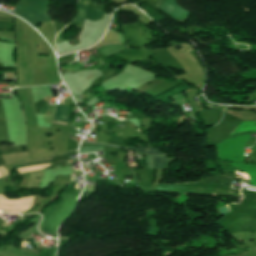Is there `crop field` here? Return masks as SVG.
<instances>
[{"label":"crop field","instance_id":"obj_1","mask_svg":"<svg viewBox=\"0 0 256 256\" xmlns=\"http://www.w3.org/2000/svg\"><path fill=\"white\" fill-rule=\"evenodd\" d=\"M48 3L49 0H19L17 6L47 13ZM18 7H16L14 13L21 16L36 29L38 28L36 25L50 20L49 16L45 13L31 11Z\"/></svg>","mask_w":256,"mask_h":256},{"label":"crop field","instance_id":"obj_2","mask_svg":"<svg viewBox=\"0 0 256 256\" xmlns=\"http://www.w3.org/2000/svg\"><path fill=\"white\" fill-rule=\"evenodd\" d=\"M249 135L233 139H225L222 143L217 144L219 158L244 162L243 144L247 142Z\"/></svg>","mask_w":256,"mask_h":256},{"label":"crop field","instance_id":"obj_3","mask_svg":"<svg viewBox=\"0 0 256 256\" xmlns=\"http://www.w3.org/2000/svg\"><path fill=\"white\" fill-rule=\"evenodd\" d=\"M175 2L176 0H159L156 8L166 13L169 17L183 22L187 19L189 12L183 10Z\"/></svg>","mask_w":256,"mask_h":256},{"label":"crop field","instance_id":"obj_4","mask_svg":"<svg viewBox=\"0 0 256 256\" xmlns=\"http://www.w3.org/2000/svg\"><path fill=\"white\" fill-rule=\"evenodd\" d=\"M89 1L90 0H79L77 17L69 24L76 26L75 29H82Z\"/></svg>","mask_w":256,"mask_h":256},{"label":"crop field","instance_id":"obj_5","mask_svg":"<svg viewBox=\"0 0 256 256\" xmlns=\"http://www.w3.org/2000/svg\"><path fill=\"white\" fill-rule=\"evenodd\" d=\"M231 164L236 168L246 171L251 177V185L256 186V166L233 163Z\"/></svg>","mask_w":256,"mask_h":256},{"label":"crop field","instance_id":"obj_6","mask_svg":"<svg viewBox=\"0 0 256 256\" xmlns=\"http://www.w3.org/2000/svg\"><path fill=\"white\" fill-rule=\"evenodd\" d=\"M67 114H68V107L56 106L53 120L67 122ZM56 121H53V122H56ZM64 122H56V123H64ZM64 124H67V123H64Z\"/></svg>","mask_w":256,"mask_h":256},{"label":"crop field","instance_id":"obj_7","mask_svg":"<svg viewBox=\"0 0 256 256\" xmlns=\"http://www.w3.org/2000/svg\"><path fill=\"white\" fill-rule=\"evenodd\" d=\"M124 49H126V48H124L123 46L113 44V45L104 46V47L98 49V51L108 57V56H111L114 53L120 52Z\"/></svg>","mask_w":256,"mask_h":256},{"label":"crop field","instance_id":"obj_8","mask_svg":"<svg viewBox=\"0 0 256 256\" xmlns=\"http://www.w3.org/2000/svg\"><path fill=\"white\" fill-rule=\"evenodd\" d=\"M104 12L98 9L90 8L87 11L86 18L91 21L101 20Z\"/></svg>","mask_w":256,"mask_h":256},{"label":"crop field","instance_id":"obj_9","mask_svg":"<svg viewBox=\"0 0 256 256\" xmlns=\"http://www.w3.org/2000/svg\"><path fill=\"white\" fill-rule=\"evenodd\" d=\"M255 125H256V122H242L233 133L243 132V131H256Z\"/></svg>","mask_w":256,"mask_h":256},{"label":"crop field","instance_id":"obj_10","mask_svg":"<svg viewBox=\"0 0 256 256\" xmlns=\"http://www.w3.org/2000/svg\"><path fill=\"white\" fill-rule=\"evenodd\" d=\"M139 146V148H136L135 146ZM134 147H129L127 146L126 149L128 150H134V151H137V152H140V153H143V154H161V155H165L159 151H155L153 149L150 148V146L146 147V148H142L139 143L136 144Z\"/></svg>","mask_w":256,"mask_h":256},{"label":"crop field","instance_id":"obj_11","mask_svg":"<svg viewBox=\"0 0 256 256\" xmlns=\"http://www.w3.org/2000/svg\"><path fill=\"white\" fill-rule=\"evenodd\" d=\"M104 150L103 146H86L80 148V154L102 151Z\"/></svg>","mask_w":256,"mask_h":256},{"label":"crop field","instance_id":"obj_12","mask_svg":"<svg viewBox=\"0 0 256 256\" xmlns=\"http://www.w3.org/2000/svg\"><path fill=\"white\" fill-rule=\"evenodd\" d=\"M169 161V160H168ZM167 160L163 156H154V167L165 168Z\"/></svg>","mask_w":256,"mask_h":256},{"label":"crop field","instance_id":"obj_13","mask_svg":"<svg viewBox=\"0 0 256 256\" xmlns=\"http://www.w3.org/2000/svg\"><path fill=\"white\" fill-rule=\"evenodd\" d=\"M147 167L153 169V156H146Z\"/></svg>","mask_w":256,"mask_h":256},{"label":"crop field","instance_id":"obj_14","mask_svg":"<svg viewBox=\"0 0 256 256\" xmlns=\"http://www.w3.org/2000/svg\"><path fill=\"white\" fill-rule=\"evenodd\" d=\"M0 171H1V173H2L3 176H9L8 171L5 169L4 166H1V167H0Z\"/></svg>","mask_w":256,"mask_h":256}]
</instances>
